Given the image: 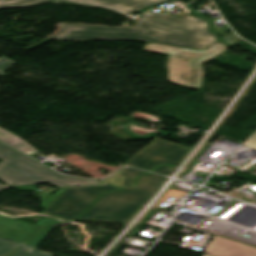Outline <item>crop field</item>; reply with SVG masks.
Wrapping results in <instances>:
<instances>
[{
  "label": "crop field",
  "mask_w": 256,
  "mask_h": 256,
  "mask_svg": "<svg viewBox=\"0 0 256 256\" xmlns=\"http://www.w3.org/2000/svg\"><path fill=\"white\" fill-rule=\"evenodd\" d=\"M52 0H0V8L29 7ZM69 2L86 3L112 9L120 13H128L143 9L153 4L168 0H67Z\"/></svg>",
  "instance_id": "crop-field-7"
},
{
  "label": "crop field",
  "mask_w": 256,
  "mask_h": 256,
  "mask_svg": "<svg viewBox=\"0 0 256 256\" xmlns=\"http://www.w3.org/2000/svg\"><path fill=\"white\" fill-rule=\"evenodd\" d=\"M27 157V156H26ZM0 143V179L10 186L49 182L57 187L97 184L57 174Z\"/></svg>",
  "instance_id": "crop-field-3"
},
{
  "label": "crop field",
  "mask_w": 256,
  "mask_h": 256,
  "mask_svg": "<svg viewBox=\"0 0 256 256\" xmlns=\"http://www.w3.org/2000/svg\"><path fill=\"white\" fill-rule=\"evenodd\" d=\"M236 37H235L234 33L232 32L222 39L226 44L234 45L239 41Z\"/></svg>",
  "instance_id": "crop-field-17"
},
{
  "label": "crop field",
  "mask_w": 256,
  "mask_h": 256,
  "mask_svg": "<svg viewBox=\"0 0 256 256\" xmlns=\"http://www.w3.org/2000/svg\"><path fill=\"white\" fill-rule=\"evenodd\" d=\"M119 189L109 185L66 188L42 213L75 221L103 192Z\"/></svg>",
  "instance_id": "crop-field-4"
},
{
  "label": "crop field",
  "mask_w": 256,
  "mask_h": 256,
  "mask_svg": "<svg viewBox=\"0 0 256 256\" xmlns=\"http://www.w3.org/2000/svg\"><path fill=\"white\" fill-rule=\"evenodd\" d=\"M208 254L216 256H256V249L215 236L206 249Z\"/></svg>",
  "instance_id": "crop-field-9"
},
{
  "label": "crop field",
  "mask_w": 256,
  "mask_h": 256,
  "mask_svg": "<svg viewBox=\"0 0 256 256\" xmlns=\"http://www.w3.org/2000/svg\"><path fill=\"white\" fill-rule=\"evenodd\" d=\"M9 58H0V66H2L4 63L8 62Z\"/></svg>",
  "instance_id": "crop-field-21"
},
{
  "label": "crop field",
  "mask_w": 256,
  "mask_h": 256,
  "mask_svg": "<svg viewBox=\"0 0 256 256\" xmlns=\"http://www.w3.org/2000/svg\"><path fill=\"white\" fill-rule=\"evenodd\" d=\"M155 172H159L161 174H164V175H171V173L173 172L171 167H168V166H161L159 168H157L155 170Z\"/></svg>",
  "instance_id": "crop-field-18"
},
{
  "label": "crop field",
  "mask_w": 256,
  "mask_h": 256,
  "mask_svg": "<svg viewBox=\"0 0 256 256\" xmlns=\"http://www.w3.org/2000/svg\"><path fill=\"white\" fill-rule=\"evenodd\" d=\"M142 205L104 195L78 221L93 220L125 224Z\"/></svg>",
  "instance_id": "crop-field-6"
},
{
  "label": "crop field",
  "mask_w": 256,
  "mask_h": 256,
  "mask_svg": "<svg viewBox=\"0 0 256 256\" xmlns=\"http://www.w3.org/2000/svg\"><path fill=\"white\" fill-rule=\"evenodd\" d=\"M19 246L8 241L0 240V256H7Z\"/></svg>",
  "instance_id": "crop-field-14"
},
{
  "label": "crop field",
  "mask_w": 256,
  "mask_h": 256,
  "mask_svg": "<svg viewBox=\"0 0 256 256\" xmlns=\"http://www.w3.org/2000/svg\"><path fill=\"white\" fill-rule=\"evenodd\" d=\"M52 39L136 40L202 49L217 40L208 23L197 17L180 19L165 14L146 13L134 28H110L89 24H59Z\"/></svg>",
  "instance_id": "crop-field-1"
},
{
  "label": "crop field",
  "mask_w": 256,
  "mask_h": 256,
  "mask_svg": "<svg viewBox=\"0 0 256 256\" xmlns=\"http://www.w3.org/2000/svg\"><path fill=\"white\" fill-rule=\"evenodd\" d=\"M144 171L134 169V168H125L118 173L117 180L121 188L133 186L134 177L138 176Z\"/></svg>",
  "instance_id": "crop-field-11"
},
{
  "label": "crop field",
  "mask_w": 256,
  "mask_h": 256,
  "mask_svg": "<svg viewBox=\"0 0 256 256\" xmlns=\"http://www.w3.org/2000/svg\"><path fill=\"white\" fill-rule=\"evenodd\" d=\"M202 256H212V255L204 254V255H202Z\"/></svg>",
  "instance_id": "crop-field-23"
},
{
  "label": "crop field",
  "mask_w": 256,
  "mask_h": 256,
  "mask_svg": "<svg viewBox=\"0 0 256 256\" xmlns=\"http://www.w3.org/2000/svg\"><path fill=\"white\" fill-rule=\"evenodd\" d=\"M166 179L163 176L152 173L142 175L136 180L137 188L130 192L151 197Z\"/></svg>",
  "instance_id": "crop-field-10"
},
{
  "label": "crop field",
  "mask_w": 256,
  "mask_h": 256,
  "mask_svg": "<svg viewBox=\"0 0 256 256\" xmlns=\"http://www.w3.org/2000/svg\"><path fill=\"white\" fill-rule=\"evenodd\" d=\"M25 249H28L29 251L26 252V251H24ZM9 256H50V254L47 252H44V251L31 249V248L22 246Z\"/></svg>",
  "instance_id": "crop-field-13"
},
{
  "label": "crop field",
  "mask_w": 256,
  "mask_h": 256,
  "mask_svg": "<svg viewBox=\"0 0 256 256\" xmlns=\"http://www.w3.org/2000/svg\"><path fill=\"white\" fill-rule=\"evenodd\" d=\"M53 227H54V226L48 227V228L44 229V230L34 239V241H33L30 245H27V246L36 247V246L41 242V240L50 232V230H51Z\"/></svg>",
  "instance_id": "crop-field-15"
},
{
  "label": "crop field",
  "mask_w": 256,
  "mask_h": 256,
  "mask_svg": "<svg viewBox=\"0 0 256 256\" xmlns=\"http://www.w3.org/2000/svg\"><path fill=\"white\" fill-rule=\"evenodd\" d=\"M117 175V174H116ZM116 175L112 176L111 178L106 179L107 183L118 186V183L116 181Z\"/></svg>",
  "instance_id": "crop-field-19"
},
{
  "label": "crop field",
  "mask_w": 256,
  "mask_h": 256,
  "mask_svg": "<svg viewBox=\"0 0 256 256\" xmlns=\"http://www.w3.org/2000/svg\"><path fill=\"white\" fill-rule=\"evenodd\" d=\"M60 222L64 221L45 216L33 225L0 215V238L21 244L30 243L44 226Z\"/></svg>",
  "instance_id": "crop-field-8"
},
{
  "label": "crop field",
  "mask_w": 256,
  "mask_h": 256,
  "mask_svg": "<svg viewBox=\"0 0 256 256\" xmlns=\"http://www.w3.org/2000/svg\"><path fill=\"white\" fill-rule=\"evenodd\" d=\"M105 194L113 196V197L129 200V201H133V202L143 203V204L149 200V198H147L145 196L130 193L126 190L112 192V193H105Z\"/></svg>",
  "instance_id": "crop-field-12"
},
{
  "label": "crop field",
  "mask_w": 256,
  "mask_h": 256,
  "mask_svg": "<svg viewBox=\"0 0 256 256\" xmlns=\"http://www.w3.org/2000/svg\"><path fill=\"white\" fill-rule=\"evenodd\" d=\"M7 188H10V187H8V186H6V185H0V191L5 190V189H7Z\"/></svg>",
  "instance_id": "crop-field-22"
},
{
  "label": "crop field",
  "mask_w": 256,
  "mask_h": 256,
  "mask_svg": "<svg viewBox=\"0 0 256 256\" xmlns=\"http://www.w3.org/2000/svg\"><path fill=\"white\" fill-rule=\"evenodd\" d=\"M242 145L256 149V132H254L247 140H245Z\"/></svg>",
  "instance_id": "crop-field-16"
},
{
  "label": "crop field",
  "mask_w": 256,
  "mask_h": 256,
  "mask_svg": "<svg viewBox=\"0 0 256 256\" xmlns=\"http://www.w3.org/2000/svg\"><path fill=\"white\" fill-rule=\"evenodd\" d=\"M14 63L11 61V62H9L6 66H4V67H1L0 68V75H3L4 73H3V69H6V68H9L10 66H12Z\"/></svg>",
  "instance_id": "crop-field-20"
},
{
  "label": "crop field",
  "mask_w": 256,
  "mask_h": 256,
  "mask_svg": "<svg viewBox=\"0 0 256 256\" xmlns=\"http://www.w3.org/2000/svg\"><path fill=\"white\" fill-rule=\"evenodd\" d=\"M146 51L169 54L167 61L168 80L185 87L200 89L204 77L202 64L223 51L228 46L218 41L203 51L188 50L147 43Z\"/></svg>",
  "instance_id": "crop-field-2"
},
{
  "label": "crop field",
  "mask_w": 256,
  "mask_h": 256,
  "mask_svg": "<svg viewBox=\"0 0 256 256\" xmlns=\"http://www.w3.org/2000/svg\"><path fill=\"white\" fill-rule=\"evenodd\" d=\"M188 148L155 138L125 165L151 171L161 164L175 166L188 152Z\"/></svg>",
  "instance_id": "crop-field-5"
}]
</instances>
